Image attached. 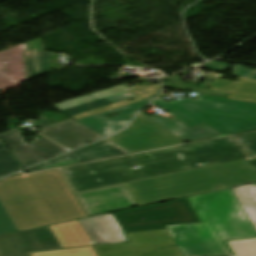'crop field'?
Instances as JSON below:
<instances>
[{"label": "crop field", "instance_id": "10", "mask_svg": "<svg viewBox=\"0 0 256 256\" xmlns=\"http://www.w3.org/2000/svg\"><path fill=\"white\" fill-rule=\"evenodd\" d=\"M62 249L48 227L0 237V256H28L27 252Z\"/></svg>", "mask_w": 256, "mask_h": 256}, {"label": "crop field", "instance_id": "18", "mask_svg": "<svg viewBox=\"0 0 256 256\" xmlns=\"http://www.w3.org/2000/svg\"><path fill=\"white\" fill-rule=\"evenodd\" d=\"M232 190L256 228V183L233 187Z\"/></svg>", "mask_w": 256, "mask_h": 256}, {"label": "crop field", "instance_id": "24", "mask_svg": "<svg viewBox=\"0 0 256 256\" xmlns=\"http://www.w3.org/2000/svg\"><path fill=\"white\" fill-rule=\"evenodd\" d=\"M31 256H98L94 248L31 253Z\"/></svg>", "mask_w": 256, "mask_h": 256}, {"label": "crop field", "instance_id": "3", "mask_svg": "<svg viewBox=\"0 0 256 256\" xmlns=\"http://www.w3.org/2000/svg\"><path fill=\"white\" fill-rule=\"evenodd\" d=\"M0 200L19 230L86 216L59 170L1 180Z\"/></svg>", "mask_w": 256, "mask_h": 256}, {"label": "crop field", "instance_id": "7", "mask_svg": "<svg viewBox=\"0 0 256 256\" xmlns=\"http://www.w3.org/2000/svg\"><path fill=\"white\" fill-rule=\"evenodd\" d=\"M125 235L131 243L94 248L99 256H182L168 229Z\"/></svg>", "mask_w": 256, "mask_h": 256}, {"label": "crop field", "instance_id": "9", "mask_svg": "<svg viewBox=\"0 0 256 256\" xmlns=\"http://www.w3.org/2000/svg\"><path fill=\"white\" fill-rule=\"evenodd\" d=\"M1 138L24 168L67 152L39 134L35 136V142L27 145L17 129L1 135Z\"/></svg>", "mask_w": 256, "mask_h": 256}, {"label": "crop field", "instance_id": "30", "mask_svg": "<svg viewBox=\"0 0 256 256\" xmlns=\"http://www.w3.org/2000/svg\"><path fill=\"white\" fill-rule=\"evenodd\" d=\"M5 149L4 145L0 141V150Z\"/></svg>", "mask_w": 256, "mask_h": 256}, {"label": "crop field", "instance_id": "15", "mask_svg": "<svg viewBox=\"0 0 256 256\" xmlns=\"http://www.w3.org/2000/svg\"><path fill=\"white\" fill-rule=\"evenodd\" d=\"M140 113L184 142L219 135V133L205 123H202L192 129H188L175 118L165 121L161 117H149L142 112Z\"/></svg>", "mask_w": 256, "mask_h": 256}, {"label": "crop field", "instance_id": "29", "mask_svg": "<svg viewBox=\"0 0 256 256\" xmlns=\"http://www.w3.org/2000/svg\"><path fill=\"white\" fill-rule=\"evenodd\" d=\"M248 164H250L256 170V157L246 159L245 160Z\"/></svg>", "mask_w": 256, "mask_h": 256}, {"label": "crop field", "instance_id": "2", "mask_svg": "<svg viewBox=\"0 0 256 256\" xmlns=\"http://www.w3.org/2000/svg\"><path fill=\"white\" fill-rule=\"evenodd\" d=\"M187 200L202 223L168 227L183 256L231 255L224 240L256 237L231 188Z\"/></svg>", "mask_w": 256, "mask_h": 256}, {"label": "crop field", "instance_id": "16", "mask_svg": "<svg viewBox=\"0 0 256 256\" xmlns=\"http://www.w3.org/2000/svg\"><path fill=\"white\" fill-rule=\"evenodd\" d=\"M62 248L93 245L78 220L50 226Z\"/></svg>", "mask_w": 256, "mask_h": 256}, {"label": "crop field", "instance_id": "23", "mask_svg": "<svg viewBox=\"0 0 256 256\" xmlns=\"http://www.w3.org/2000/svg\"><path fill=\"white\" fill-rule=\"evenodd\" d=\"M19 170L22 168L8 150L0 151V178Z\"/></svg>", "mask_w": 256, "mask_h": 256}, {"label": "crop field", "instance_id": "5", "mask_svg": "<svg viewBox=\"0 0 256 256\" xmlns=\"http://www.w3.org/2000/svg\"><path fill=\"white\" fill-rule=\"evenodd\" d=\"M153 104L163 108L188 128L202 122L221 134L256 128V104L201 96L194 101L184 99L172 104L158 98Z\"/></svg>", "mask_w": 256, "mask_h": 256}, {"label": "crop field", "instance_id": "19", "mask_svg": "<svg viewBox=\"0 0 256 256\" xmlns=\"http://www.w3.org/2000/svg\"><path fill=\"white\" fill-rule=\"evenodd\" d=\"M99 193L110 211L135 206L123 185L100 190Z\"/></svg>", "mask_w": 256, "mask_h": 256}, {"label": "crop field", "instance_id": "11", "mask_svg": "<svg viewBox=\"0 0 256 256\" xmlns=\"http://www.w3.org/2000/svg\"><path fill=\"white\" fill-rule=\"evenodd\" d=\"M38 123H40L38 125L41 129L40 134L70 150L103 138L71 119L54 126L49 122L48 118L41 114Z\"/></svg>", "mask_w": 256, "mask_h": 256}, {"label": "crop field", "instance_id": "12", "mask_svg": "<svg viewBox=\"0 0 256 256\" xmlns=\"http://www.w3.org/2000/svg\"><path fill=\"white\" fill-rule=\"evenodd\" d=\"M154 98L155 97L148 99L146 101H142V102L132 104L126 107H122L116 110H112L106 113H102L89 118L78 120V122L94 130L100 135L106 137L124 128L130 122V120L135 115V113L139 111L141 108H143L145 105H147ZM113 112L119 113V116L113 117L111 119L101 117L103 115L113 113Z\"/></svg>", "mask_w": 256, "mask_h": 256}, {"label": "crop field", "instance_id": "6", "mask_svg": "<svg viewBox=\"0 0 256 256\" xmlns=\"http://www.w3.org/2000/svg\"><path fill=\"white\" fill-rule=\"evenodd\" d=\"M123 233L166 229L200 222L186 198L113 214ZM146 217L145 220L138 218Z\"/></svg>", "mask_w": 256, "mask_h": 256}, {"label": "crop field", "instance_id": "4", "mask_svg": "<svg viewBox=\"0 0 256 256\" xmlns=\"http://www.w3.org/2000/svg\"><path fill=\"white\" fill-rule=\"evenodd\" d=\"M256 181L243 160L123 184L136 206Z\"/></svg>", "mask_w": 256, "mask_h": 256}, {"label": "crop field", "instance_id": "20", "mask_svg": "<svg viewBox=\"0 0 256 256\" xmlns=\"http://www.w3.org/2000/svg\"><path fill=\"white\" fill-rule=\"evenodd\" d=\"M76 196L89 216L109 211L98 191L77 194Z\"/></svg>", "mask_w": 256, "mask_h": 256}, {"label": "crop field", "instance_id": "27", "mask_svg": "<svg viewBox=\"0 0 256 256\" xmlns=\"http://www.w3.org/2000/svg\"><path fill=\"white\" fill-rule=\"evenodd\" d=\"M245 79L240 78L236 82L216 79L211 83L205 82L204 85L211 86L213 89L232 92L238 85H240Z\"/></svg>", "mask_w": 256, "mask_h": 256}, {"label": "crop field", "instance_id": "1", "mask_svg": "<svg viewBox=\"0 0 256 256\" xmlns=\"http://www.w3.org/2000/svg\"><path fill=\"white\" fill-rule=\"evenodd\" d=\"M253 157L232 137L101 160L61 169L75 192ZM138 166L139 169H132Z\"/></svg>", "mask_w": 256, "mask_h": 256}, {"label": "crop field", "instance_id": "28", "mask_svg": "<svg viewBox=\"0 0 256 256\" xmlns=\"http://www.w3.org/2000/svg\"><path fill=\"white\" fill-rule=\"evenodd\" d=\"M234 137L256 154V132L235 135Z\"/></svg>", "mask_w": 256, "mask_h": 256}, {"label": "crop field", "instance_id": "13", "mask_svg": "<svg viewBox=\"0 0 256 256\" xmlns=\"http://www.w3.org/2000/svg\"><path fill=\"white\" fill-rule=\"evenodd\" d=\"M127 154L126 151L116 146L109 140L105 139L81 150L63 156L61 158L55 159L53 161L44 163L42 165L28 169L30 172L47 169L51 167H56L64 164L87 161L92 159L104 158L109 156Z\"/></svg>", "mask_w": 256, "mask_h": 256}, {"label": "crop field", "instance_id": "25", "mask_svg": "<svg viewBox=\"0 0 256 256\" xmlns=\"http://www.w3.org/2000/svg\"><path fill=\"white\" fill-rule=\"evenodd\" d=\"M203 68L223 72L227 68V66H225L224 64H221V63L210 62V63L204 65ZM229 68H231V67H229ZM231 69L234 70L233 75H236L239 77H244V78H248L251 74H253L255 72L254 70L244 68L241 65H235Z\"/></svg>", "mask_w": 256, "mask_h": 256}, {"label": "crop field", "instance_id": "21", "mask_svg": "<svg viewBox=\"0 0 256 256\" xmlns=\"http://www.w3.org/2000/svg\"><path fill=\"white\" fill-rule=\"evenodd\" d=\"M228 98L256 102V72L237 87Z\"/></svg>", "mask_w": 256, "mask_h": 256}, {"label": "crop field", "instance_id": "8", "mask_svg": "<svg viewBox=\"0 0 256 256\" xmlns=\"http://www.w3.org/2000/svg\"><path fill=\"white\" fill-rule=\"evenodd\" d=\"M108 139L129 152L182 143L140 113L127 130Z\"/></svg>", "mask_w": 256, "mask_h": 256}, {"label": "crop field", "instance_id": "17", "mask_svg": "<svg viewBox=\"0 0 256 256\" xmlns=\"http://www.w3.org/2000/svg\"><path fill=\"white\" fill-rule=\"evenodd\" d=\"M25 49L28 80L49 71L48 58L52 52L46 53L42 49L40 39L26 44Z\"/></svg>", "mask_w": 256, "mask_h": 256}, {"label": "crop field", "instance_id": "22", "mask_svg": "<svg viewBox=\"0 0 256 256\" xmlns=\"http://www.w3.org/2000/svg\"><path fill=\"white\" fill-rule=\"evenodd\" d=\"M226 242L235 256H256V238Z\"/></svg>", "mask_w": 256, "mask_h": 256}, {"label": "crop field", "instance_id": "14", "mask_svg": "<svg viewBox=\"0 0 256 256\" xmlns=\"http://www.w3.org/2000/svg\"><path fill=\"white\" fill-rule=\"evenodd\" d=\"M94 245L126 242L111 213L80 219Z\"/></svg>", "mask_w": 256, "mask_h": 256}, {"label": "crop field", "instance_id": "26", "mask_svg": "<svg viewBox=\"0 0 256 256\" xmlns=\"http://www.w3.org/2000/svg\"><path fill=\"white\" fill-rule=\"evenodd\" d=\"M19 231L0 202V235Z\"/></svg>", "mask_w": 256, "mask_h": 256}]
</instances>
